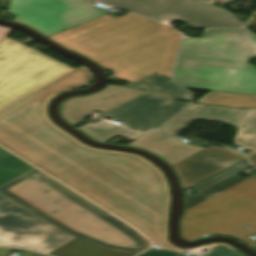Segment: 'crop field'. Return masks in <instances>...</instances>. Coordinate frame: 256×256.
<instances>
[{"label": "crop field", "instance_id": "crop-field-1", "mask_svg": "<svg viewBox=\"0 0 256 256\" xmlns=\"http://www.w3.org/2000/svg\"><path fill=\"white\" fill-rule=\"evenodd\" d=\"M83 66L0 112V145L136 227L165 241L167 192L162 174L144 159L88 148L51 124L44 106L54 94L89 84ZM181 251V250H180Z\"/></svg>", "mask_w": 256, "mask_h": 256}, {"label": "crop field", "instance_id": "crop-field-2", "mask_svg": "<svg viewBox=\"0 0 256 256\" xmlns=\"http://www.w3.org/2000/svg\"><path fill=\"white\" fill-rule=\"evenodd\" d=\"M181 34L170 26L128 13L107 15L49 37L133 81L151 73L170 76Z\"/></svg>", "mask_w": 256, "mask_h": 256}, {"label": "crop field", "instance_id": "crop-field-3", "mask_svg": "<svg viewBox=\"0 0 256 256\" xmlns=\"http://www.w3.org/2000/svg\"><path fill=\"white\" fill-rule=\"evenodd\" d=\"M0 192L60 230L103 248L139 253L150 246L132 228L35 168Z\"/></svg>", "mask_w": 256, "mask_h": 256}, {"label": "crop field", "instance_id": "crop-field-4", "mask_svg": "<svg viewBox=\"0 0 256 256\" xmlns=\"http://www.w3.org/2000/svg\"><path fill=\"white\" fill-rule=\"evenodd\" d=\"M256 34L248 29L208 30L204 38H185L174 80L184 87L256 93Z\"/></svg>", "mask_w": 256, "mask_h": 256}, {"label": "crop field", "instance_id": "crop-field-5", "mask_svg": "<svg viewBox=\"0 0 256 256\" xmlns=\"http://www.w3.org/2000/svg\"><path fill=\"white\" fill-rule=\"evenodd\" d=\"M182 230L188 240L208 233L255 246L249 236L256 233V175L185 211Z\"/></svg>", "mask_w": 256, "mask_h": 256}, {"label": "crop field", "instance_id": "crop-field-6", "mask_svg": "<svg viewBox=\"0 0 256 256\" xmlns=\"http://www.w3.org/2000/svg\"><path fill=\"white\" fill-rule=\"evenodd\" d=\"M71 69L6 37L0 42V109Z\"/></svg>", "mask_w": 256, "mask_h": 256}, {"label": "crop field", "instance_id": "crop-field-7", "mask_svg": "<svg viewBox=\"0 0 256 256\" xmlns=\"http://www.w3.org/2000/svg\"><path fill=\"white\" fill-rule=\"evenodd\" d=\"M8 13L49 37L106 14L88 0H11Z\"/></svg>", "mask_w": 256, "mask_h": 256}, {"label": "crop field", "instance_id": "crop-field-8", "mask_svg": "<svg viewBox=\"0 0 256 256\" xmlns=\"http://www.w3.org/2000/svg\"><path fill=\"white\" fill-rule=\"evenodd\" d=\"M115 6L161 22L170 18L201 28L239 27L231 12L194 0H91Z\"/></svg>", "mask_w": 256, "mask_h": 256}, {"label": "crop field", "instance_id": "crop-field-9", "mask_svg": "<svg viewBox=\"0 0 256 256\" xmlns=\"http://www.w3.org/2000/svg\"><path fill=\"white\" fill-rule=\"evenodd\" d=\"M73 238L0 194V246H23L47 253Z\"/></svg>", "mask_w": 256, "mask_h": 256}, {"label": "crop field", "instance_id": "crop-field-10", "mask_svg": "<svg viewBox=\"0 0 256 256\" xmlns=\"http://www.w3.org/2000/svg\"><path fill=\"white\" fill-rule=\"evenodd\" d=\"M188 104L167 95L147 92L102 115L123 123L121 126L128 129L145 132L156 129Z\"/></svg>", "mask_w": 256, "mask_h": 256}, {"label": "crop field", "instance_id": "crop-field-11", "mask_svg": "<svg viewBox=\"0 0 256 256\" xmlns=\"http://www.w3.org/2000/svg\"><path fill=\"white\" fill-rule=\"evenodd\" d=\"M211 146V145H210ZM209 150L208 152H206ZM245 159L227 148L211 146L173 165L183 189Z\"/></svg>", "mask_w": 256, "mask_h": 256}, {"label": "crop field", "instance_id": "crop-field-12", "mask_svg": "<svg viewBox=\"0 0 256 256\" xmlns=\"http://www.w3.org/2000/svg\"><path fill=\"white\" fill-rule=\"evenodd\" d=\"M143 91L130 89L120 85L108 84L107 87L90 96L79 98H70L62 103L64 111L62 115L64 119L72 124H83L88 121L82 119L91 112L97 110L103 112L111 107H114Z\"/></svg>", "mask_w": 256, "mask_h": 256}, {"label": "crop field", "instance_id": "crop-field-13", "mask_svg": "<svg viewBox=\"0 0 256 256\" xmlns=\"http://www.w3.org/2000/svg\"><path fill=\"white\" fill-rule=\"evenodd\" d=\"M179 140L181 139L152 130L136 138V141L129 145L147 149L171 165L203 149L178 142Z\"/></svg>", "mask_w": 256, "mask_h": 256}, {"label": "crop field", "instance_id": "crop-field-14", "mask_svg": "<svg viewBox=\"0 0 256 256\" xmlns=\"http://www.w3.org/2000/svg\"><path fill=\"white\" fill-rule=\"evenodd\" d=\"M246 109L236 110L193 103L160 130L176 135L194 120H221L236 126Z\"/></svg>", "mask_w": 256, "mask_h": 256}, {"label": "crop field", "instance_id": "crop-field-15", "mask_svg": "<svg viewBox=\"0 0 256 256\" xmlns=\"http://www.w3.org/2000/svg\"><path fill=\"white\" fill-rule=\"evenodd\" d=\"M127 86L142 90H154L181 101L191 100L190 95L184 89L170 81L169 78L158 75H152Z\"/></svg>", "mask_w": 256, "mask_h": 256}, {"label": "crop field", "instance_id": "crop-field-16", "mask_svg": "<svg viewBox=\"0 0 256 256\" xmlns=\"http://www.w3.org/2000/svg\"><path fill=\"white\" fill-rule=\"evenodd\" d=\"M53 256H133L134 254L109 251L75 238L48 253Z\"/></svg>", "mask_w": 256, "mask_h": 256}, {"label": "crop field", "instance_id": "crop-field-17", "mask_svg": "<svg viewBox=\"0 0 256 256\" xmlns=\"http://www.w3.org/2000/svg\"><path fill=\"white\" fill-rule=\"evenodd\" d=\"M198 102L231 106V107H256V94H238V93H227L211 91Z\"/></svg>", "mask_w": 256, "mask_h": 256}, {"label": "crop field", "instance_id": "crop-field-18", "mask_svg": "<svg viewBox=\"0 0 256 256\" xmlns=\"http://www.w3.org/2000/svg\"><path fill=\"white\" fill-rule=\"evenodd\" d=\"M241 125L246 127L241 128ZM234 141L246 149L253 150L247 154L248 157L256 153V109H248L238 126Z\"/></svg>", "mask_w": 256, "mask_h": 256}, {"label": "crop field", "instance_id": "crop-field-19", "mask_svg": "<svg viewBox=\"0 0 256 256\" xmlns=\"http://www.w3.org/2000/svg\"><path fill=\"white\" fill-rule=\"evenodd\" d=\"M80 129H82L85 133L94 137L95 139L101 140L103 142L109 140L110 138L116 135L129 138V139H133L141 135V134L117 127L115 125L109 124L103 120L95 124L89 122Z\"/></svg>", "mask_w": 256, "mask_h": 256}, {"label": "crop field", "instance_id": "crop-field-20", "mask_svg": "<svg viewBox=\"0 0 256 256\" xmlns=\"http://www.w3.org/2000/svg\"><path fill=\"white\" fill-rule=\"evenodd\" d=\"M32 168L0 147V186Z\"/></svg>", "mask_w": 256, "mask_h": 256}, {"label": "crop field", "instance_id": "crop-field-21", "mask_svg": "<svg viewBox=\"0 0 256 256\" xmlns=\"http://www.w3.org/2000/svg\"><path fill=\"white\" fill-rule=\"evenodd\" d=\"M243 180L244 179L234 175L218 183L217 185L203 191L202 193L186 200V210Z\"/></svg>", "mask_w": 256, "mask_h": 256}, {"label": "crop field", "instance_id": "crop-field-22", "mask_svg": "<svg viewBox=\"0 0 256 256\" xmlns=\"http://www.w3.org/2000/svg\"><path fill=\"white\" fill-rule=\"evenodd\" d=\"M246 164H248V163L245 160H243V161H241V162H239V163H237V164H235V165H233V166H231V167H229V168H227V169H225V170H223V171H221V172H219V173H217V174H215V175H213V176H211V177H209V178H207V179H205V180H203V181H201V182H199V183H197V184H195V185H193L191 187L193 189L198 190L201 187H203V186H205V185H207V184H209V183H211V182H213V181H215V180H217V179H219V178H221V177H223V176L233 172L234 170H236V169H238V168H240V167H242V166H244Z\"/></svg>", "mask_w": 256, "mask_h": 256}, {"label": "crop field", "instance_id": "crop-field-23", "mask_svg": "<svg viewBox=\"0 0 256 256\" xmlns=\"http://www.w3.org/2000/svg\"><path fill=\"white\" fill-rule=\"evenodd\" d=\"M213 249L202 256H242L234 248L224 244H210Z\"/></svg>", "mask_w": 256, "mask_h": 256}, {"label": "crop field", "instance_id": "crop-field-24", "mask_svg": "<svg viewBox=\"0 0 256 256\" xmlns=\"http://www.w3.org/2000/svg\"><path fill=\"white\" fill-rule=\"evenodd\" d=\"M181 253L171 251H148L140 256H177Z\"/></svg>", "mask_w": 256, "mask_h": 256}, {"label": "crop field", "instance_id": "crop-field-25", "mask_svg": "<svg viewBox=\"0 0 256 256\" xmlns=\"http://www.w3.org/2000/svg\"><path fill=\"white\" fill-rule=\"evenodd\" d=\"M212 248L209 246V245H205V246H201V247H198V248H194V249H191L187 252H190V253H193L195 255H202L204 254L205 252L211 250Z\"/></svg>", "mask_w": 256, "mask_h": 256}, {"label": "crop field", "instance_id": "crop-field-26", "mask_svg": "<svg viewBox=\"0 0 256 256\" xmlns=\"http://www.w3.org/2000/svg\"><path fill=\"white\" fill-rule=\"evenodd\" d=\"M11 30H12V28L0 26V41L3 38H5L10 33Z\"/></svg>", "mask_w": 256, "mask_h": 256}, {"label": "crop field", "instance_id": "crop-field-27", "mask_svg": "<svg viewBox=\"0 0 256 256\" xmlns=\"http://www.w3.org/2000/svg\"><path fill=\"white\" fill-rule=\"evenodd\" d=\"M249 159H250V162L256 167V154L249 157Z\"/></svg>", "mask_w": 256, "mask_h": 256}, {"label": "crop field", "instance_id": "crop-field-28", "mask_svg": "<svg viewBox=\"0 0 256 256\" xmlns=\"http://www.w3.org/2000/svg\"><path fill=\"white\" fill-rule=\"evenodd\" d=\"M240 171H241V170H240ZM238 172H239V171H238ZM236 173H237V172H236ZM234 174H235V173H234ZM234 174H232V175H234ZM232 175H230V176H232ZM230 176H228V177H230ZM228 177H226V178H228ZM226 178H224V179H226ZM224 179H222V180H224ZM222 180H220V181H222ZM220 181H218V182H220ZM218 182H216L215 184H217ZM215 184H213V185H215ZM213 185H211V186H213ZM211 186H209V187H211ZM209 187H207V188H209ZM207 188H205V189H207ZM205 189H203V190H205ZM203 190L197 192L196 194L202 192ZM196 194H194V195H196ZM194 195H192V196H194ZM192 196H190V197H192ZM190 197H188V198H190ZM188 198H186V199H188Z\"/></svg>", "mask_w": 256, "mask_h": 256}, {"label": "crop field", "instance_id": "crop-field-29", "mask_svg": "<svg viewBox=\"0 0 256 256\" xmlns=\"http://www.w3.org/2000/svg\"><path fill=\"white\" fill-rule=\"evenodd\" d=\"M206 4L214 5V0H197Z\"/></svg>", "mask_w": 256, "mask_h": 256}, {"label": "crop field", "instance_id": "crop-field-30", "mask_svg": "<svg viewBox=\"0 0 256 256\" xmlns=\"http://www.w3.org/2000/svg\"><path fill=\"white\" fill-rule=\"evenodd\" d=\"M31 256H44V255L33 252Z\"/></svg>", "mask_w": 256, "mask_h": 256}, {"label": "crop field", "instance_id": "crop-field-31", "mask_svg": "<svg viewBox=\"0 0 256 256\" xmlns=\"http://www.w3.org/2000/svg\"><path fill=\"white\" fill-rule=\"evenodd\" d=\"M181 256H185V255H181ZM191 256H193V255H191Z\"/></svg>", "mask_w": 256, "mask_h": 256}]
</instances>
